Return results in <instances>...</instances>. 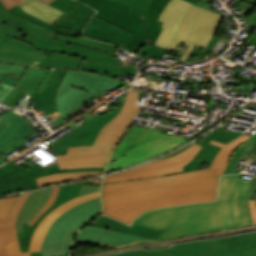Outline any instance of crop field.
Instances as JSON below:
<instances>
[{"mask_svg":"<svg viewBox=\"0 0 256 256\" xmlns=\"http://www.w3.org/2000/svg\"><path fill=\"white\" fill-rule=\"evenodd\" d=\"M248 137L243 134L227 145L211 141L223 148L207 170L102 185V213L130 224L150 209L217 200V178L235 149Z\"/></svg>","mask_w":256,"mask_h":256,"instance_id":"crop-field-1","label":"crop field"},{"mask_svg":"<svg viewBox=\"0 0 256 256\" xmlns=\"http://www.w3.org/2000/svg\"><path fill=\"white\" fill-rule=\"evenodd\" d=\"M249 186L248 180H221L217 202L147 211L131 225L162 232L158 241L251 225Z\"/></svg>","mask_w":256,"mask_h":256,"instance_id":"crop-field-2","label":"crop field"},{"mask_svg":"<svg viewBox=\"0 0 256 256\" xmlns=\"http://www.w3.org/2000/svg\"><path fill=\"white\" fill-rule=\"evenodd\" d=\"M0 19L8 26L21 31L14 38L31 43L34 49L49 52L40 67L82 68L113 77L120 71L136 75L135 68L131 67L135 62L129 60L123 64L113 59L116 46L84 37L57 36V33L34 24L25 17H14L1 1ZM55 35L57 37L53 39Z\"/></svg>","mask_w":256,"mask_h":256,"instance_id":"crop-field-3","label":"crop field"},{"mask_svg":"<svg viewBox=\"0 0 256 256\" xmlns=\"http://www.w3.org/2000/svg\"><path fill=\"white\" fill-rule=\"evenodd\" d=\"M133 87L130 86L118 116L103 127L93 146L69 148L66 155L56 157L61 169L105 167L118 139L141 108L135 105L138 92L132 91Z\"/></svg>","mask_w":256,"mask_h":256,"instance_id":"crop-field-4","label":"crop field"},{"mask_svg":"<svg viewBox=\"0 0 256 256\" xmlns=\"http://www.w3.org/2000/svg\"><path fill=\"white\" fill-rule=\"evenodd\" d=\"M186 141L188 140L174 134L168 136L158 131L132 126L115 149L107 172L156 157Z\"/></svg>","mask_w":256,"mask_h":256,"instance_id":"crop-field-5","label":"crop field"},{"mask_svg":"<svg viewBox=\"0 0 256 256\" xmlns=\"http://www.w3.org/2000/svg\"><path fill=\"white\" fill-rule=\"evenodd\" d=\"M101 210L100 198L84 202L61 215L48 230L41 256H67L74 234Z\"/></svg>","mask_w":256,"mask_h":256,"instance_id":"crop-field-6","label":"crop field"},{"mask_svg":"<svg viewBox=\"0 0 256 256\" xmlns=\"http://www.w3.org/2000/svg\"><path fill=\"white\" fill-rule=\"evenodd\" d=\"M70 71L27 67L15 86L30 91L29 99H34L35 109L42 108L46 116L62 113L58 95Z\"/></svg>","mask_w":256,"mask_h":256,"instance_id":"crop-field-7","label":"crop field"},{"mask_svg":"<svg viewBox=\"0 0 256 256\" xmlns=\"http://www.w3.org/2000/svg\"><path fill=\"white\" fill-rule=\"evenodd\" d=\"M157 253L159 256H256V232L179 244Z\"/></svg>","mask_w":256,"mask_h":256,"instance_id":"crop-field-8","label":"crop field"},{"mask_svg":"<svg viewBox=\"0 0 256 256\" xmlns=\"http://www.w3.org/2000/svg\"><path fill=\"white\" fill-rule=\"evenodd\" d=\"M221 16V14L193 5L184 16L168 49L174 50L178 41L190 44L180 58L186 61L194 46L205 49Z\"/></svg>","mask_w":256,"mask_h":256,"instance_id":"crop-field-9","label":"crop field"},{"mask_svg":"<svg viewBox=\"0 0 256 256\" xmlns=\"http://www.w3.org/2000/svg\"><path fill=\"white\" fill-rule=\"evenodd\" d=\"M131 6L129 12L143 17V23L132 34L125 48L137 53L147 42L154 43L161 32L158 17L169 0H111ZM196 3L197 0H187Z\"/></svg>","mask_w":256,"mask_h":256,"instance_id":"crop-field-10","label":"crop field"},{"mask_svg":"<svg viewBox=\"0 0 256 256\" xmlns=\"http://www.w3.org/2000/svg\"><path fill=\"white\" fill-rule=\"evenodd\" d=\"M109 81L112 83L107 84ZM124 83L95 74L86 73L80 70H72L60 95L67 91L72 86L84 90L72 100L68 101L62 107L63 113L59 115L53 122L58 126L65 118L75 109L85 104L91 98L102 94L103 92L123 86Z\"/></svg>","mask_w":256,"mask_h":256,"instance_id":"crop-field-11","label":"crop field"},{"mask_svg":"<svg viewBox=\"0 0 256 256\" xmlns=\"http://www.w3.org/2000/svg\"><path fill=\"white\" fill-rule=\"evenodd\" d=\"M200 149L201 146L193 144L174 157L155 161L122 173L104 177L102 184L181 173L182 166L193 159Z\"/></svg>","mask_w":256,"mask_h":256,"instance_id":"crop-field-12","label":"crop field"},{"mask_svg":"<svg viewBox=\"0 0 256 256\" xmlns=\"http://www.w3.org/2000/svg\"><path fill=\"white\" fill-rule=\"evenodd\" d=\"M104 169L105 168H75L60 170L58 164H56L45 168L37 165L31 169L25 170L15 163H7L0 168V195L38 187L35 178L42 175L69 171Z\"/></svg>","mask_w":256,"mask_h":256,"instance_id":"crop-field-13","label":"crop field"},{"mask_svg":"<svg viewBox=\"0 0 256 256\" xmlns=\"http://www.w3.org/2000/svg\"><path fill=\"white\" fill-rule=\"evenodd\" d=\"M18 33L0 20V61L39 67L47 52L33 50L30 44L12 39Z\"/></svg>","mask_w":256,"mask_h":256,"instance_id":"crop-field-14","label":"crop field"},{"mask_svg":"<svg viewBox=\"0 0 256 256\" xmlns=\"http://www.w3.org/2000/svg\"><path fill=\"white\" fill-rule=\"evenodd\" d=\"M120 109L121 107H117L114 111L104 116L99 114L95 115L84 125L72 132V136L67 135L52 144L55 155L65 154L68 147L92 145L101 128L116 117Z\"/></svg>","mask_w":256,"mask_h":256,"instance_id":"crop-field-15","label":"crop field"},{"mask_svg":"<svg viewBox=\"0 0 256 256\" xmlns=\"http://www.w3.org/2000/svg\"><path fill=\"white\" fill-rule=\"evenodd\" d=\"M6 74H0V80ZM25 111L12 110L0 116V153L5 155L27 143L23 138L33 134L26 123L18 116ZM1 157V156H0Z\"/></svg>","mask_w":256,"mask_h":256,"instance_id":"crop-field-16","label":"crop field"},{"mask_svg":"<svg viewBox=\"0 0 256 256\" xmlns=\"http://www.w3.org/2000/svg\"><path fill=\"white\" fill-rule=\"evenodd\" d=\"M95 197H100L99 191L95 192V193L85 195V196L80 197V198L76 197V198L62 204L61 206L57 207L52 212L48 213L42 219V221L40 222V224L38 225L37 229L35 230V232L32 236L29 252L30 251H40L42 240H43L49 226L62 213H64L66 210L76 206L79 203H82V202H84L88 199L95 198ZM14 231H15L16 241H9V243L6 244L9 256H29V252L20 253L19 245H18V241H17V236H16V230H14Z\"/></svg>","mask_w":256,"mask_h":256,"instance_id":"crop-field-17","label":"crop field"},{"mask_svg":"<svg viewBox=\"0 0 256 256\" xmlns=\"http://www.w3.org/2000/svg\"><path fill=\"white\" fill-rule=\"evenodd\" d=\"M75 241L80 243L105 244L116 247L155 242L154 240L89 225L84 227L77 234Z\"/></svg>","mask_w":256,"mask_h":256,"instance_id":"crop-field-18","label":"crop field"},{"mask_svg":"<svg viewBox=\"0 0 256 256\" xmlns=\"http://www.w3.org/2000/svg\"><path fill=\"white\" fill-rule=\"evenodd\" d=\"M97 9L95 16L118 25L130 32H134L142 23V18L131 14L129 6L114 3L108 0H79Z\"/></svg>","mask_w":256,"mask_h":256,"instance_id":"crop-field-19","label":"crop field"},{"mask_svg":"<svg viewBox=\"0 0 256 256\" xmlns=\"http://www.w3.org/2000/svg\"><path fill=\"white\" fill-rule=\"evenodd\" d=\"M191 6L192 4L183 0L169 1L158 19L163 22L161 25L163 30L154 45L167 49L182 17Z\"/></svg>","mask_w":256,"mask_h":256,"instance_id":"crop-field-20","label":"crop field"},{"mask_svg":"<svg viewBox=\"0 0 256 256\" xmlns=\"http://www.w3.org/2000/svg\"><path fill=\"white\" fill-rule=\"evenodd\" d=\"M51 6L67 13L54 25L81 31L86 22L95 12L87 5L75 0H54Z\"/></svg>","mask_w":256,"mask_h":256,"instance_id":"crop-field-21","label":"crop field"},{"mask_svg":"<svg viewBox=\"0 0 256 256\" xmlns=\"http://www.w3.org/2000/svg\"><path fill=\"white\" fill-rule=\"evenodd\" d=\"M82 35L111 44L121 45L122 43L126 44L131 33L97 17H93L83 30Z\"/></svg>","mask_w":256,"mask_h":256,"instance_id":"crop-field-22","label":"crop field"},{"mask_svg":"<svg viewBox=\"0 0 256 256\" xmlns=\"http://www.w3.org/2000/svg\"><path fill=\"white\" fill-rule=\"evenodd\" d=\"M82 185H64L60 187L58 196L52 206L43 213L33 225L23 223V232L17 233L21 252L28 251L31 236L41 219L60 204L76 197Z\"/></svg>","mask_w":256,"mask_h":256,"instance_id":"crop-field-23","label":"crop field"},{"mask_svg":"<svg viewBox=\"0 0 256 256\" xmlns=\"http://www.w3.org/2000/svg\"><path fill=\"white\" fill-rule=\"evenodd\" d=\"M52 189L53 188L32 192L18 214L16 222L17 232L22 231V222L29 223V221L40 211L46 203Z\"/></svg>","mask_w":256,"mask_h":256,"instance_id":"crop-field-24","label":"crop field"},{"mask_svg":"<svg viewBox=\"0 0 256 256\" xmlns=\"http://www.w3.org/2000/svg\"><path fill=\"white\" fill-rule=\"evenodd\" d=\"M30 194L31 192L21 194L12 208L9 219L0 220V256H8L5 244L8 243V240H15L13 229H16L17 214Z\"/></svg>","mask_w":256,"mask_h":256,"instance_id":"crop-field-25","label":"crop field"},{"mask_svg":"<svg viewBox=\"0 0 256 256\" xmlns=\"http://www.w3.org/2000/svg\"><path fill=\"white\" fill-rule=\"evenodd\" d=\"M216 131L217 129L211 131L209 134H207L204 140L199 143V145L203 146L202 149L193 160L183 167V172L195 171L194 169L200 168L204 163L208 165L211 164L218 150L221 149L219 146L209 144Z\"/></svg>","mask_w":256,"mask_h":256,"instance_id":"crop-field-26","label":"crop field"},{"mask_svg":"<svg viewBox=\"0 0 256 256\" xmlns=\"http://www.w3.org/2000/svg\"><path fill=\"white\" fill-rule=\"evenodd\" d=\"M109 218L103 215H100L94 221H92L90 225L109 228V229L126 232V233H130V234H134V235H138V236H142V237H146L154 240H157L160 235L159 232H155V231H151V230H147L139 227L124 225L118 221H115Z\"/></svg>","mask_w":256,"mask_h":256,"instance_id":"crop-field-27","label":"crop field"},{"mask_svg":"<svg viewBox=\"0 0 256 256\" xmlns=\"http://www.w3.org/2000/svg\"><path fill=\"white\" fill-rule=\"evenodd\" d=\"M26 2L19 5L24 11L34 15L35 17L53 25L65 13L46 5L39 0H25ZM20 7V8H21Z\"/></svg>","mask_w":256,"mask_h":256,"instance_id":"crop-field-28","label":"crop field"},{"mask_svg":"<svg viewBox=\"0 0 256 256\" xmlns=\"http://www.w3.org/2000/svg\"><path fill=\"white\" fill-rule=\"evenodd\" d=\"M249 161L256 158V133L246 140L244 144L237 148L231 157V160L224 172L225 173H239L243 167L236 168L240 161L244 159ZM248 162V161H247ZM246 163V162H244Z\"/></svg>","mask_w":256,"mask_h":256,"instance_id":"crop-field-29","label":"crop field"},{"mask_svg":"<svg viewBox=\"0 0 256 256\" xmlns=\"http://www.w3.org/2000/svg\"><path fill=\"white\" fill-rule=\"evenodd\" d=\"M103 172L104 171H84V172L60 173V174L39 177L36 180H37L38 186L40 187L44 185L56 184V183H61L65 181L90 177L94 175H100V174H103Z\"/></svg>","mask_w":256,"mask_h":256,"instance_id":"crop-field-30","label":"crop field"},{"mask_svg":"<svg viewBox=\"0 0 256 256\" xmlns=\"http://www.w3.org/2000/svg\"><path fill=\"white\" fill-rule=\"evenodd\" d=\"M9 11L15 15V16H19V17H26L28 20L34 22V23H37V24H40V25H43V26H46L50 29H52L53 31L57 32V33H61V34H66V35H71V36H79L80 35V32L78 31H74V30H69V29H63V28H59V27H55V26H51L27 13H25L23 11L22 8H20L18 5L9 9Z\"/></svg>","mask_w":256,"mask_h":256,"instance_id":"crop-field-31","label":"crop field"},{"mask_svg":"<svg viewBox=\"0 0 256 256\" xmlns=\"http://www.w3.org/2000/svg\"><path fill=\"white\" fill-rule=\"evenodd\" d=\"M240 135L241 133H236V132L226 131V130H218L213 140L227 144Z\"/></svg>","mask_w":256,"mask_h":256,"instance_id":"crop-field-32","label":"crop field"},{"mask_svg":"<svg viewBox=\"0 0 256 256\" xmlns=\"http://www.w3.org/2000/svg\"><path fill=\"white\" fill-rule=\"evenodd\" d=\"M16 199L17 197L0 199V219L8 218L10 209Z\"/></svg>","mask_w":256,"mask_h":256,"instance_id":"crop-field-33","label":"crop field"},{"mask_svg":"<svg viewBox=\"0 0 256 256\" xmlns=\"http://www.w3.org/2000/svg\"><path fill=\"white\" fill-rule=\"evenodd\" d=\"M140 52L148 55V56H152V57H156L158 59L162 58V55L164 54L165 50L161 49L159 47H156L152 44L147 43L141 50Z\"/></svg>","mask_w":256,"mask_h":256,"instance_id":"crop-field-34","label":"crop field"},{"mask_svg":"<svg viewBox=\"0 0 256 256\" xmlns=\"http://www.w3.org/2000/svg\"><path fill=\"white\" fill-rule=\"evenodd\" d=\"M25 66L13 65L0 62V73H13L22 75Z\"/></svg>","mask_w":256,"mask_h":256,"instance_id":"crop-field-35","label":"crop field"},{"mask_svg":"<svg viewBox=\"0 0 256 256\" xmlns=\"http://www.w3.org/2000/svg\"><path fill=\"white\" fill-rule=\"evenodd\" d=\"M157 250L153 251H145V250H137V251H131V252H122L119 253V256H158L159 254H156Z\"/></svg>","mask_w":256,"mask_h":256,"instance_id":"crop-field-36","label":"crop field"},{"mask_svg":"<svg viewBox=\"0 0 256 256\" xmlns=\"http://www.w3.org/2000/svg\"><path fill=\"white\" fill-rule=\"evenodd\" d=\"M82 90L76 89L72 87L70 90L65 92L63 95L59 97V103L60 106L63 105L65 102L70 100L71 98L75 97L77 94H79Z\"/></svg>","mask_w":256,"mask_h":256,"instance_id":"crop-field-37","label":"crop field"},{"mask_svg":"<svg viewBox=\"0 0 256 256\" xmlns=\"http://www.w3.org/2000/svg\"><path fill=\"white\" fill-rule=\"evenodd\" d=\"M60 187V186H59ZM59 187H55L52 191V194L50 196V198L48 199L47 203L45 204V206L42 208V210L31 220V224L34 223V221L43 213L45 212V210L51 206V204L53 203V201L55 200Z\"/></svg>","mask_w":256,"mask_h":256,"instance_id":"crop-field-38","label":"crop field"},{"mask_svg":"<svg viewBox=\"0 0 256 256\" xmlns=\"http://www.w3.org/2000/svg\"><path fill=\"white\" fill-rule=\"evenodd\" d=\"M99 189H100L99 186L83 185L78 197L83 196V195L88 194V193H91V192H94V191H98Z\"/></svg>","mask_w":256,"mask_h":256,"instance_id":"crop-field-39","label":"crop field"},{"mask_svg":"<svg viewBox=\"0 0 256 256\" xmlns=\"http://www.w3.org/2000/svg\"><path fill=\"white\" fill-rule=\"evenodd\" d=\"M255 195H256V171L251 179L249 199H253Z\"/></svg>","mask_w":256,"mask_h":256,"instance_id":"crop-field-40","label":"crop field"},{"mask_svg":"<svg viewBox=\"0 0 256 256\" xmlns=\"http://www.w3.org/2000/svg\"><path fill=\"white\" fill-rule=\"evenodd\" d=\"M3 2V4L5 5V7L8 9L16 4H20L22 2H24V0H1Z\"/></svg>","mask_w":256,"mask_h":256,"instance_id":"crop-field-41","label":"crop field"},{"mask_svg":"<svg viewBox=\"0 0 256 256\" xmlns=\"http://www.w3.org/2000/svg\"><path fill=\"white\" fill-rule=\"evenodd\" d=\"M249 204H250V210H251L253 222L254 224H256V201L249 200Z\"/></svg>","mask_w":256,"mask_h":256,"instance_id":"crop-field-42","label":"crop field"},{"mask_svg":"<svg viewBox=\"0 0 256 256\" xmlns=\"http://www.w3.org/2000/svg\"><path fill=\"white\" fill-rule=\"evenodd\" d=\"M243 24L256 27V11L246 21H244Z\"/></svg>","mask_w":256,"mask_h":256,"instance_id":"crop-field-43","label":"crop field"},{"mask_svg":"<svg viewBox=\"0 0 256 256\" xmlns=\"http://www.w3.org/2000/svg\"><path fill=\"white\" fill-rule=\"evenodd\" d=\"M192 144H193V143H192ZM190 145H191V144H190ZM190 145H189V146H190ZM189 146H187V147H189ZM187 147H185V148H183V149H180V150H178V151H175V152H173V153H171V154H168V155L164 156L163 158H167V157L174 156V155L180 153L181 151H183L184 149H186ZM163 158H161V159H163ZM158 160H159V159H158Z\"/></svg>","mask_w":256,"mask_h":256,"instance_id":"crop-field-44","label":"crop field"},{"mask_svg":"<svg viewBox=\"0 0 256 256\" xmlns=\"http://www.w3.org/2000/svg\"><path fill=\"white\" fill-rule=\"evenodd\" d=\"M248 44L256 47V32L255 35L249 40Z\"/></svg>","mask_w":256,"mask_h":256,"instance_id":"crop-field-45","label":"crop field"},{"mask_svg":"<svg viewBox=\"0 0 256 256\" xmlns=\"http://www.w3.org/2000/svg\"><path fill=\"white\" fill-rule=\"evenodd\" d=\"M77 184L97 185V181L96 180H91V181H86V182L77 183Z\"/></svg>","mask_w":256,"mask_h":256,"instance_id":"crop-field-46","label":"crop field"},{"mask_svg":"<svg viewBox=\"0 0 256 256\" xmlns=\"http://www.w3.org/2000/svg\"><path fill=\"white\" fill-rule=\"evenodd\" d=\"M241 175V174H240ZM240 175H224L222 176V179H227V178H239Z\"/></svg>","mask_w":256,"mask_h":256,"instance_id":"crop-field-47","label":"crop field"},{"mask_svg":"<svg viewBox=\"0 0 256 256\" xmlns=\"http://www.w3.org/2000/svg\"><path fill=\"white\" fill-rule=\"evenodd\" d=\"M82 117L88 120L89 118L92 117V115H90L89 113H87V115H83Z\"/></svg>","mask_w":256,"mask_h":256,"instance_id":"crop-field-48","label":"crop field"},{"mask_svg":"<svg viewBox=\"0 0 256 256\" xmlns=\"http://www.w3.org/2000/svg\"><path fill=\"white\" fill-rule=\"evenodd\" d=\"M30 256H40L39 252H31Z\"/></svg>","mask_w":256,"mask_h":256,"instance_id":"crop-field-49","label":"crop field"},{"mask_svg":"<svg viewBox=\"0 0 256 256\" xmlns=\"http://www.w3.org/2000/svg\"><path fill=\"white\" fill-rule=\"evenodd\" d=\"M41 1H43V2H45V3H47V4H49V3L52 2L53 0H41Z\"/></svg>","mask_w":256,"mask_h":256,"instance_id":"crop-field-50","label":"crop field"},{"mask_svg":"<svg viewBox=\"0 0 256 256\" xmlns=\"http://www.w3.org/2000/svg\"><path fill=\"white\" fill-rule=\"evenodd\" d=\"M5 160L3 158H0V164L4 162Z\"/></svg>","mask_w":256,"mask_h":256,"instance_id":"crop-field-51","label":"crop field"},{"mask_svg":"<svg viewBox=\"0 0 256 256\" xmlns=\"http://www.w3.org/2000/svg\"><path fill=\"white\" fill-rule=\"evenodd\" d=\"M64 123H66V122H65V121H63L59 126L63 125ZM59 126H58V127H59Z\"/></svg>","mask_w":256,"mask_h":256,"instance_id":"crop-field-52","label":"crop field"},{"mask_svg":"<svg viewBox=\"0 0 256 256\" xmlns=\"http://www.w3.org/2000/svg\"><path fill=\"white\" fill-rule=\"evenodd\" d=\"M113 256H118V254H113Z\"/></svg>","mask_w":256,"mask_h":256,"instance_id":"crop-field-53","label":"crop field"},{"mask_svg":"<svg viewBox=\"0 0 256 256\" xmlns=\"http://www.w3.org/2000/svg\"><path fill=\"white\" fill-rule=\"evenodd\" d=\"M255 200H256V196H255V198H254Z\"/></svg>","mask_w":256,"mask_h":256,"instance_id":"crop-field-54","label":"crop field"},{"mask_svg":"<svg viewBox=\"0 0 256 256\" xmlns=\"http://www.w3.org/2000/svg\"><path fill=\"white\" fill-rule=\"evenodd\" d=\"M108 256H112V254H111V255H108Z\"/></svg>","mask_w":256,"mask_h":256,"instance_id":"crop-field-55","label":"crop field"}]
</instances>
